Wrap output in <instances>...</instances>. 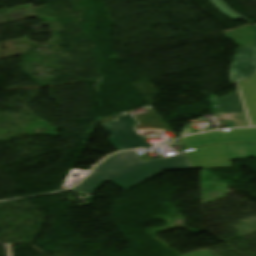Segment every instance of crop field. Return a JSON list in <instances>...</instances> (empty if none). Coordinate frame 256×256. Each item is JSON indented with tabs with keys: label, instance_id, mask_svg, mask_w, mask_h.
<instances>
[{
	"label": "crop field",
	"instance_id": "crop-field-4",
	"mask_svg": "<svg viewBox=\"0 0 256 256\" xmlns=\"http://www.w3.org/2000/svg\"><path fill=\"white\" fill-rule=\"evenodd\" d=\"M190 153L197 168L231 166L230 160L248 158L243 144L200 147Z\"/></svg>",
	"mask_w": 256,
	"mask_h": 256
},
{
	"label": "crop field",
	"instance_id": "crop-field-9",
	"mask_svg": "<svg viewBox=\"0 0 256 256\" xmlns=\"http://www.w3.org/2000/svg\"><path fill=\"white\" fill-rule=\"evenodd\" d=\"M135 128L142 136L170 130L161 118L139 124Z\"/></svg>",
	"mask_w": 256,
	"mask_h": 256
},
{
	"label": "crop field",
	"instance_id": "crop-field-6",
	"mask_svg": "<svg viewBox=\"0 0 256 256\" xmlns=\"http://www.w3.org/2000/svg\"><path fill=\"white\" fill-rule=\"evenodd\" d=\"M255 31H256V26ZM256 74V33L255 48H239L235 54L234 62L230 68L232 84L242 81Z\"/></svg>",
	"mask_w": 256,
	"mask_h": 256
},
{
	"label": "crop field",
	"instance_id": "crop-field-12",
	"mask_svg": "<svg viewBox=\"0 0 256 256\" xmlns=\"http://www.w3.org/2000/svg\"><path fill=\"white\" fill-rule=\"evenodd\" d=\"M249 158H256V144H245Z\"/></svg>",
	"mask_w": 256,
	"mask_h": 256
},
{
	"label": "crop field",
	"instance_id": "crop-field-3",
	"mask_svg": "<svg viewBox=\"0 0 256 256\" xmlns=\"http://www.w3.org/2000/svg\"><path fill=\"white\" fill-rule=\"evenodd\" d=\"M137 124L139 123L128 113L116 117L113 121L102 124V126L111 135L108 140L117 151L149 147L143 137L134 128Z\"/></svg>",
	"mask_w": 256,
	"mask_h": 256
},
{
	"label": "crop field",
	"instance_id": "crop-field-10",
	"mask_svg": "<svg viewBox=\"0 0 256 256\" xmlns=\"http://www.w3.org/2000/svg\"><path fill=\"white\" fill-rule=\"evenodd\" d=\"M218 10H220L222 13L227 15L228 17L232 18L233 20H238L240 18L251 21L250 19L236 13L232 9H230L222 0H209Z\"/></svg>",
	"mask_w": 256,
	"mask_h": 256
},
{
	"label": "crop field",
	"instance_id": "crop-field-8",
	"mask_svg": "<svg viewBox=\"0 0 256 256\" xmlns=\"http://www.w3.org/2000/svg\"><path fill=\"white\" fill-rule=\"evenodd\" d=\"M247 80V79H246ZM239 83L253 126H256V75Z\"/></svg>",
	"mask_w": 256,
	"mask_h": 256
},
{
	"label": "crop field",
	"instance_id": "crop-field-5",
	"mask_svg": "<svg viewBox=\"0 0 256 256\" xmlns=\"http://www.w3.org/2000/svg\"><path fill=\"white\" fill-rule=\"evenodd\" d=\"M210 97L213 108L220 105V107L214 108L215 113H232L233 120L226 121L228 127L249 126L238 91L228 93L219 101L214 95ZM233 112H236V115H233Z\"/></svg>",
	"mask_w": 256,
	"mask_h": 256
},
{
	"label": "crop field",
	"instance_id": "crop-field-11",
	"mask_svg": "<svg viewBox=\"0 0 256 256\" xmlns=\"http://www.w3.org/2000/svg\"><path fill=\"white\" fill-rule=\"evenodd\" d=\"M241 142L256 143V129L232 130Z\"/></svg>",
	"mask_w": 256,
	"mask_h": 256
},
{
	"label": "crop field",
	"instance_id": "crop-field-2",
	"mask_svg": "<svg viewBox=\"0 0 256 256\" xmlns=\"http://www.w3.org/2000/svg\"><path fill=\"white\" fill-rule=\"evenodd\" d=\"M140 162H144V160L135 151L118 153L106 159L102 164L98 165L80 185L71 188L70 190L92 194L113 173L121 171Z\"/></svg>",
	"mask_w": 256,
	"mask_h": 256
},
{
	"label": "crop field",
	"instance_id": "crop-field-7",
	"mask_svg": "<svg viewBox=\"0 0 256 256\" xmlns=\"http://www.w3.org/2000/svg\"><path fill=\"white\" fill-rule=\"evenodd\" d=\"M184 145L189 148H196L206 145H214L220 143H236L240 142L236 136L228 130L216 131L208 134L189 136L184 139H180Z\"/></svg>",
	"mask_w": 256,
	"mask_h": 256
},
{
	"label": "crop field",
	"instance_id": "crop-field-1",
	"mask_svg": "<svg viewBox=\"0 0 256 256\" xmlns=\"http://www.w3.org/2000/svg\"><path fill=\"white\" fill-rule=\"evenodd\" d=\"M180 154L167 159L161 157L140 163L112 175L107 181L126 191L138 183L162 173L164 170L196 168L189 151Z\"/></svg>",
	"mask_w": 256,
	"mask_h": 256
}]
</instances>
